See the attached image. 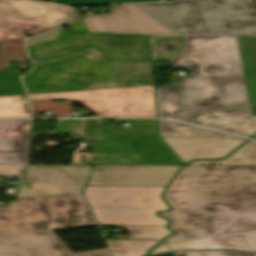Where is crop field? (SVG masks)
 <instances>
[{"instance_id": "3316defc", "label": "crop field", "mask_w": 256, "mask_h": 256, "mask_svg": "<svg viewBox=\"0 0 256 256\" xmlns=\"http://www.w3.org/2000/svg\"><path fill=\"white\" fill-rule=\"evenodd\" d=\"M88 166H28L15 197L80 194Z\"/></svg>"}, {"instance_id": "28ad6ade", "label": "crop field", "mask_w": 256, "mask_h": 256, "mask_svg": "<svg viewBox=\"0 0 256 256\" xmlns=\"http://www.w3.org/2000/svg\"><path fill=\"white\" fill-rule=\"evenodd\" d=\"M181 167L96 165L87 185L167 186Z\"/></svg>"}, {"instance_id": "214f88e0", "label": "crop field", "mask_w": 256, "mask_h": 256, "mask_svg": "<svg viewBox=\"0 0 256 256\" xmlns=\"http://www.w3.org/2000/svg\"><path fill=\"white\" fill-rule=\"evenodd\" d=\"M159 117L169 118L181 114L177 83L156 90Z\"/></svg>"}, {"instance_id": "eef30255", "label": "crop field", "mask_w": 256, "mask_h": 256, "mask_svg": "<svg viewBox=\"0 0 256 256\" xmlns=\"http://www.w3.org/2000/svg\"><path fill=\"white\" fill-rule=\"evenodd\" d=\"M82 120H57L55 133L80 134Z\"/></svg>"}, {"instance_id": "e52e79f7", "label": "crop field", "mask_w": 256, "mask_h": 256, "mask_svg": "<svg viewBox=\"0 0 256 256\" xmlns=\"http://www.w3.org/2000/svg\"><path fill=\"white\" fill-rule=\"evenodd\" d=\"M103 120H85L83 139L93 144L92 163L182 165L158 135H102Z\"/></svg>"}, {"instance_id": "cbeb9de0", "label": "crop field", "mask_w": 256, "mask_h": 256, "mask_svg": "<svg viewBox=\"0 0 256 256\" xmlns=\"http://www.w3.org/2000/svg\"><path fill=\"white\" fill-rule=\"evenodd\" d=\"M174 119L196 123L248 137L254 135L249 106L188 114Z\"/></svg>"}, {"instance_id": "dafd665d", "label": "crop field", "mask_w": 256, "mask_h": 256, "mask_svg": "<svg viewBox=\"0 0 256 256\" xmlns=\"http://www.w3.org/2000/svg\"><path fill=\"white\" fill-rule=\"evenodd\" d=\"M114 256H144L157 241H106Z\"/></svg>"}, {"instance_id": "e1f06a70", "label": "crop field", "mask_w": 256, "mask_h": 256, "mask_svg": "<svg viewBox=\"0 0 256 256\" xmlns=\"http://www.w3.org/2000/svg\"><path fill=\"white\" fill-rule=\"evenodd\" d=\"M52 2L55 3H61V4H67V5H79L82 4L77 0H53Z\"/></svg>"}, {"instance_id": "ac0d7876", "label": "crop field", "mask_w": 256, "mask_h": 256, "mask_svg": "<svg viewBox=\"0 0 256 256\" xmlns=\"http://www.w3.org/2000/svg\"><path fill=\"white\" fill-rule=\"evenodd\" d=\"M121 7L82 20L90 32L256 36V0H180Z\"/></svg>"}, {"instance_id": "bd1437ed", "label": "crop field", "mask_w": 256, "mask_h": 256, "mask_svg": "<svg viewBox=\"0 0 256 256\" xmlns=\"http://www.w3.org/2000/svg\"><path fill=\"white\" fill-rule=\"evenodd\" d=\"M252 251H256V230L242 232Z\"/></svg>"}, {"instance_id": "f4fd0767", "label": "crop field", "mask_w": 256, "mask_h": 256, "mask_svg": "<svg viewBox=\"0 0 256 256\" xmlns=\"http://www.w3.org/2000/svg\"><path fill=\"white\" fill-rule=\"evenodd\" d=\"M95 225L81 195L18 198L0 208V235Z\"/></svg>"}, {"instance_id": "412701ff", "label": "crop field", "mask_w": 256, "mask_h": 256, "mask_svg": "<svg viewBox=\"0 0 256 256\" xmlns=\"http://www.w3.org/2000/svg\"><path fill=\"white\" fill-rule=\"evenodd\" d=\"M187 47L172 60L179 77L184 113L248 104L236 35L185 36Z\"/></svg>"}, {"instance_id": "d9b57169", "label": "crop field", "mask_w": 256, "mask_h": 256, "mask_svg": "<svg viewBox=\"0 0 256 256\" xmlns=\"http://www.w3.org/2000/svg\"><path fill=\"white\" fill-rule=\"evenodd\" d=\"M172 250L183 249H234L251 251L240 233L224 234L213 237L168 244Z\"/></svg>"}, {"instance_id": "0bd39190", "label": "crop field", "mask_w": 256, "mask_h": 256, "mask_svg": "<svg viewBox=\"0 0 256 256\" xmlns=\"http://www.w3.org/2000/svg\"><path fill=\"white\" fill-rule=\"evenodd\" d=\"M252 116H256V105L250 106Z\"/></svg>"}, {"instance_id": "120bbe31", "label": "crop field", "mask_w": 256, "mask_h": 256, "mask_svg": "<svg viewBox=\"0 0 256 256\" xmlns=\"http://www.w3.org/2000/svg\"><path fill=\"white\" fill-rule=\"evenodd\" d=\"M81 55L91 60H101V53L95 49H92L91 51L86 53H82Z\"/></svg>"}, {"instance_id": "8a807250", "label": "crop field", "mask_w": 256, "mask_h": 256, "mask_svg": "<svg viewBox=\"0 0 256 256\" xmlns=\"http://www.w3.org/2000/svg\"><path fill=\"white\" fill-rule=\"evenodd\" d=\"M165 198L178 231L166 243L256 229V166H186Z\"/></svg>"}, {"instance_id": "c035e120", "label": "crop field", "mask_w": 256, "mask_h": 256, "mask_svg": "<svg viewBox=\"0 0 256 256\" xmlns=\"http://www.w3.org/2000/svg\"><path fill=\"white\" fill-rule=\"evenodd\" d=\"M253 118V122H254V126H255V132H256V117H252Z\"/></svg>"}, {"instance_id": "03da06ac", "label": "crop field", "mask_w": 256, "mask_h": 256, "mask_svg": "<svg viewBox=\"0 0 256 256\" xmlns=\"http://www.w3.org/2000/svg\"><path fill=\"white\" fill-rule=\"evenodd\" d=\"M256 139V137H254Z\"/></svg>"}, {"instance_id": "00972430", "label": "crop field", "mask_w": 256, "mask_h": 256, "mask_svg": "<svg viewBox=\"0 0 256 256\" xmlns=\"http://www.w3.org/2000/svg\"><path fill=\"white\" fill-rule=\"evenodd\" d=\"M118 122H131V128H103V134H158L156 120L127 119Z\"/></svg>"}, {"instance_id": "b54c1fbb", "label": "crop field", "mask_w": 256, "mask_h": 256, "mask_svg": "<svg viewBox=\"0 0 256 256\" xmlns=\"http://www.w3.org/2000/svg\"><path fill=\"white\" fill-rule=\"evenodd\" d=\"M255 255H256V253H255Z\"/></svg>"}, {"instance_id": "ae1a2a85", "label": "crop field", "mask_w": 256, "mask_h": 256, "mask_svg": "<svg viewBox=\"0 0 256 256\" xmlns=\"http://www.w3.org/2000/svg\"><path fill=\"white\" fill-rule=\"evenodd\" d=\"M177 255L185 256H254L253 253L234 252V251H178Z\"/></svg>"}, {"instance_id": "4177f3b9", "label": "crop field", "mask_w": 256, "mask_h": 256, "mask_svg": "<svg viewBox=\"0 0 256 256\" xmlns=\"http://www.w3.org/2000/svg\"><path fill=\"white\" fill-rule=\"evenodd\" d=\"M25 94L16 71L0 72V96Z\"/></svg>"}, {"instance_id": "4a817a6b", "label": "crop field", "mask_w": 256, "mask_h": 256, "mask_svg": "<svg viewBox=\"0 0 256 256\" xmlns=\"http://www.w3.org/2000/svg\"><path fill=\"white\" fill-rule=\"evenodd\" d=\"M151 71V63H124L115 62L111 82H98L88 90L132 87L131 79Z\"/></svg>"}, {"instance_id": "d32e631a", "label": "crop field", "mask_w": 256, "mask_h": 256, "mask_svg": "<svg viewBox=\"0 0 256 256\" xmlns=\"http://www.w3.org/2000/svg\"><path fill=\"white\" fill-rule=\"evenodd\" d=\"M168 251H170L169 248L165 244L162 243L157 248H155L153 251H151L148 255L162 253V252H168Z\"/></svg>"}, {"instance_id": "d1516ede", "label": "crop field", "mask_w": 256, "mask_h": 256, "mask_svg": "<svg viewBox=\"0 0 256 256\" xmlns=\"http://www.w3.org/2000/svg\"><path fill=\"white\" fill-rule=\"evenodd\" d=\"M0 256H113L108 248L73 254L51 231L0 236Z\"/></svg>"}, {"instance_id": "a9b5d70f", "label": "crop field", "mask_w": 256, "mask_h": 256, "mask_svg": "<svg viewBox=\"0 0 256 256\" xmlns=\"http://www.w3.org/2000/svg\"><path fill=\"white\" fill-rule=\"evenodd\" d=\"M23 95L0 97V118L30 117L28 104H21Z\"/></svg>"}, {"instance_id": "bc2a9ffb", "label": "crop field", "mask_w": 256, "mask_h": 256, "mask_svg": "<svg viewBox=\"0 0 256 256\" xmlns=\"http://www.w3.org/2000/svg\"><path fill=\"white\" fill-rule=\"evenodd\" d=\"M159 124L161 136L238 138L170 121L159 120Z\"/></svg>"}, {"instance_id": "1d83c4d3", "label": "crop field", "mask_w": 256, "mask_h": 256, "mask_svg": "<svg viewBox=\"0 0 256 256\" xmlns=\"http://www.w3.org/2000/svg\"><path fill=\"white\" fill-rule=\"evenodd\" d=\"M87 4H101V3H118V2H136V1H161V0H82Z\"/></svg>"}, {"instance_id": "5a996713", "label": "crop field", "mask_w": 256, "mask_h": 256, "mask_svg": "<svg viewBox=\"0 0 256 256\" xmlns=\"http://www.w3.org/2000/svg\"><path fill=\"white\" fill-rule=\"evenodd\" d=\"M78 18L72 6L32 0H0V30L36 35Z\"/></svg>"}, {"instance_id": "dd49c442", "label": "crop field", "mask_w": 256, "mask_h": 256, "mask_svg": "<svg viewBox=\"0 0 256 256\" xmlns=\"http://www.w3.org/2000/svg\"><path fill=\"white\" fill-rule=\"evenodd\" d=\"M166 187L87 186L84 194L100 225L167 226L158 211L170 210L161 194Z\"/></svg>"}, {"instance_id": "b80d0937", "label": "crop field", "mask_w": 256, "mask_h": 256, "mask_svg": "<svg viewBox=\"0 0 256 256\" xmlns=\"http://www.w3.org/2000/svg\"><path fill=\"white\" fill-rule=\"evenodd\" d=\"M156 256H176V255L173 252H170V253H165V254L156 255Z\"/></svg>"}, {"instance_id": "d3111659", "label": "crop field", "mask_w": 256, "mask_h": 256, "mask_svg": "<svg viewBox=\"0 0 256 256\" xmlns=\"http://www.w3.org/2000/svg\"><path fill=\"white\" fill-rule=\"evenodd\" d=\"M59 30L60 29L57 28V29L52 30L50 32H47L45 34H42V35H39V36L34 37L32 39H29L27 41L26 45L29 46V45H33V44H37V43H42V42L53 40L57 36Z\"/></svg>"}, {"instance_id": "028f5c9d", "label": "crop field", "mask_w": 256, "mask_h": 256, "mask_svg": "<svg viewBox=\"0 0 256 256\" xmlns=\"http://www.w3.org/2000/svg\"><path fill=\"white\" fill-rule=\"evenodd\" d=\"M70 29H77V30H82V31H86L82 21H78L72 24L67 25Z\"/></svg>"}, {"instance_id": "733c2abd", "label": "crop field", "mask_w": 256, "mask_h": 256, "mask_svg": "<svg viewBox=\"0 0 256 256\" xmlns=\"http://www.w3.org/2000/svg\"><path fill=\"white\" fill-rule=\"evenodd\" d=\"M237 37L248 102L256 103V37Z\"/></svg>"}, {"instance_id": "c21b1889", "label": "crop field", "mask_w": 256, "mask_h": 256, "mask_svg": "<svg viewBox=\"0 0 256 256\" xmlns=\"http://www.w3.org/2000/svg\"><path fill=\"white\" fill-rule=\"evenodd\" d=\"M164 1H169V0H164Z\"/></svg>"}, {"instance_id": "5866460e", "label": "crop field", "mask_w": 256, "mask_h": 256, "mask_svg": "<svg viewBox=\"0 0 256 256\" xmlns=\"http://www.w3.org/2000/svg\"><path fill=\"white\" fill-rule=\"evenodd\" d=\"M18 37H22V35L15 34V33L0 32V40L10 39V38H18Z\"/></svg>"}, {"instance_id": "d8731c3e", "label": "crop field", "mask_w": 256, "mask_h": 256, "mask_svg": "<svg viewBox=\"0 0 256 256\" xmlns=\"http://www.w3.org/2000/svg\"><path fill=\"white\" fill-rule=\"evenodd\" d=\"M31 100H72L98 117H157L153 87L29 95Z\"/></svg>"}, {"instance_id": "5142ce71", "label": "crop field", "mask_w": 256, "mask_h": 256, "mask_svg": "<svg viewBox=\"0 0 256 256\" xmlns=\"http://www.w3.org/2000/svg\"><path fill=\"white\" fill-rule=\"evenodd\" d=\"M29 120L0 121V164H25Z\"/></svg>"}, {"instance_id": "22f410ed", "label": "crop field", "mask_w": 256, "mask_h": 256, "mask_svg": "<svg viewBox=\"0 0 256 256\" xmlns=\"http://www.w3.org/2000/svg\"><path fill=\"white\" fill-rule=\"evenodd\" d=\"M187 163L193 159L222 158L243 144V139L161 137Z\"/></svg>"}, {"instance_id": "730fd06b", "label": "crop field", "mask_w": 256, "mask_h": 256, "mask_svg": "<svg viewBox=\"0 0 256 256\" xmlns=\"http://www.w3.org/2000/svg\"><path fill=\"white\" fill-rule=\"evenodd\" d=\"M129 239H155L161 241L172 231L166 227H126ZM130 235H134L130 237Z\"/></svg>"}, {"instance_id": "750c4746", "label": "crop field", "mask_w": 256, "mask_h": 256, "mask_svg": "<svg viewBox=\"0 0 256 256\" xmlns=\"http://www.w3.org/2000/svg\"><path fill=\"white\" fill-rule=\"evenodd\" d=\"M25 165H0V177L3 175L21 176Z\"/></svg>"}, {"instance_id": "92a150f3", "label": "crop field", "mask_w": 256, "mask_h": 256, "mask_svg": "<svg viewBox=\"0 0 256 256\" xmlns=\"http://www.w3.org/2000/svg\"><path fill=\"white\" fill-rule=\"evenodd\" d=\"M189 165H256V143L247 142L222 161H194Z\"/></svg>"}, {"instance_id": "34b2d1b8", "label": "crop field", "mask_w": 256, "mask_h": 256, "mask_svg": "<svg viewBox=\"0 0 256 256\" xmlns=\"http://www.w3.org/2000/svg\"><path fill=\"white\" fill-rule=\"evenodd\" d=\"M94 47L102 61L80 54L36 65L23 77L29 94L87 90L97 81H110L114 61L151 62L149 36L89 33L61 29L55 40L27 47L33 64Z\"/></svg>"}]
</instances>
